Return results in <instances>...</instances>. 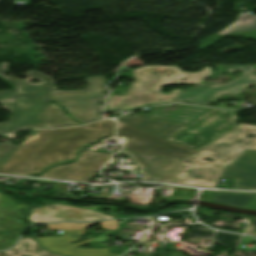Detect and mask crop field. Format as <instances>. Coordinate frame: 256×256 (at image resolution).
Returning a JSON list of instances; mask_svg holds the SVG:
<instances>
[{"mask_svg": "<svg viewBox=\"0 0 256 256\" xmlns=\"http://www.w3.org/2000/svg\"><path fill=\"white\" fill-rule=\"evenodd\" d=\"M172 67L173 73L143 74V68ZM210 67L198 73H186L177 66H143L133 69L134 81L125 97L110 95L105 109L132 110L151 104L171 103L181 90H172L164 94L160 88L169 84H198L211 76ZM184 77L185 81H181Z\"/></svg>", "mask_w": 256, "mask_h": 256, "instance_id": "obj_4", "label": "crop field"}, {"mask_svg": "<svg viewBox=\"0 0 256 256\" xmlns=\"http://www.w3.org/2000/svg\"><path fill=\"white\" fill-rule=\"evenodd\" d=\"M254 149H256V147H254Z\"/></svg>", "mask_w": 256, "mask_h": 256, "instance_id": "obj_35", "label": "crop field"}, {"mask_svg": "<svg viewBox=\"0 0 256 256\" xmlns=\"http://www.w3.org/2000/svg\"><path fill=\"white\" fill-rule=\"evenodd\" d=\"M110 156L105 153L82 151L78 161L51 168L40 177L88 182Z\"/></svg>", "mask_w": 256, "mask_h": 256, "instance_id": "obj_9", "label": "crop field"}, {"mask_svg": "<svg viewBox=\"0 0 256 256\" xmlns=\"http://www.w3.org/2000/svg\"><path fill=\"white\" fill-rule=\"evenodd\" d=\"M227 71L240 70L243 72L242 76L223 85H205L200 83L194 88L186 89L180 92L175 102H183L205 106L209 102H214L217 97L225 93L237 94L241 92L248 84L256 83V76L251 74L252 66L234 65Z\"/></svg>", "mask_w": 256, "mask_h": 256, "instance_id": "obj_8", "label": "crop field"}, {"mask_svg": "<svg viewBox=\"0 0 256 256\" xmlns=\"http://www.w3.org/2000/svg\"><path fill=\"white\" fill-rule=\"evenodd\" d=\"M64 236L61 237H41L36 238L37 242L48 251L54 253L64 254L66 256H118L109 254L107 249H91L83 250L75 248L76 245L87 243L93 238L76 243L70 244L68 241L78 240L84 231H63Z\"/></svg>", "mask_w": 256, "mask_h": 256, "instance_id": "obj_13", "label": "crop field"}, {"mask_svg": "<svg viewBox=\"0 0 256 256\" xmlns=\"http://www.w3.org/2000/svg\"><path fill=\"white\" fill-rule=\"evenodd\" d=\"M195 194L194 190L188 189H180V188H173L171 199L181 198V199H190Z\"/></svg>", "mask_w": 256, "mask_h": 256, "instance_id": "obj_25", "label": "crop field"}, {"mask_svg": "<svg viewBox=\"0 0 256 256\" xmlns=\"http://www.w3.org/2000/svg\"><path fill=\"white\" fill-rule=\"evenodd\" d=\"M83 127H84V126H83ZM84 128H85V127H84ZM96 131H97V130H96ZM100 133H102V132H100ZM102 134H103V137H104V136H105L104 133H102Z\"/></svg>", "mask_w": 256, "mask_h": 256, "instance_id": "obj_34", "label": "crop field"}, {"mask_svg": "<svg viewBox=\"0 0 256 256\" xmlns=\"http://www.w3.org/2000/svg\"><path fill=\"white\" fill-rule=\"evenodd\" d=\"M102 134L82 127L59 130H38L37 138L21 145L0 169V173L24 175L38 173L49 164L74 158L76 150L96 142Z\"/></svg>", "mask_w": 256, "mask_h": 256, "instance_id": "obj_1", "label": "crop field"}, {"mask_svg": "<svg viewBox=\"0 0 256 256\" xmlns=\"http://www.w3.org/2000/svg\"><path fill=\"white\" fill-rule=\"evenodd\" d=\"M4 39H11L9 35H0V42H3Z\"/></svg>", "mask_w": 256, "mask_h": 256, "instance_id": "obj_33", "label": "crop field"}, {"mask_svg": "<svg viewBox=\"0 0 256 256\" xmlns=\"http://www.w3.org/2000/svg\"><path fill=\"white\" fill-rule=\"evenodd\" d=\"M110 218L109 216L88 209L51 204L32 209L28 219L33 221L29 223L32 224L51 221H95Z\"/></svg>", "mask_w": 256, "mask_h": 256, "instance_id": "obj_11", "label": "crop field"}, {"mask_svg": "<svg viewBox=\"0 0 256 256\" xmlns=\"http://www.w3.org/2000/svg\"><path fill=\"white\" fill-rule=\"evenodd\" d=\"M172 72L171 68L144 69V73Z\"/></svg>", "mask_w": 256, "mask_h": 256, "instance_id": "obj_30", "label": "crop field"}, {"mask_svg": "<svg viewBox=\"0 0 256 256\" xmlns=\"http://www.w3.org/2000/svg\"><path fill=\"white\" fill-rule=\"evenodd\" d=\"M118 120L143 129L164 139L168 138L169 136L184 127V125L137 118L132 116H121L118 117Z\"/></svg>", "mask_w": 256, "mask_h": 256, "instance_id": "obj_16", "label": "crop field"}, {"mask_svg": "<svg viewBox=\"0 0 256 256\" xmlns=\"http://www.w3.org/2000/svg\"><path fill=\"white\" fill-rule=\"evenodd\" d=\"M104 76L87 77L85 81L88 85L85 90L77 91H53L52 100L63 105L73 118L81 123H89L99 118V113L103 106L94 105V101L105 99L107 95L101 94V84Z\"/></svg>", "mask_w": 256, "mask_h": 256, "instance_id": "obj_6", "label": "crop field"}, {"mask_svg": "<svg viewBox=\"0 0 256 256\" xmlns=\"http://www.w3.org/2000/svg\"><path fill=\"white\" fill-rule=\"evenodd\" d=\"M121 136L127 138L125 149L137 154L185 158L195 152L118 121L117 137Z\"/></svg>", "mask_w": 256, "mask_h": 256, "instance_id": "obj_7", "label": "crop field"}, {"mask_svg": "<svg viewBox=\"0 0 256 256\" xmlns=\"http://www.w3.org/2000/svg\"><path fill=\"white\" fill-rule=\"evenodd\" d=\"M112 233V231H107V233L103 236H98L96 237L94 240L90 241V242H99V241H109L112 239L106 238L107 235H110Z\"/></svg>", "mask_w": 256, "mask_h": 256, "instance_id": "obj_31", "label": "crop field"}, {"mask_svg": "<svg viewBox=\"0 0 256 256\" xmlns=\"http://www.w3.org/2000/svg\"><path fill=\"white\" fill-rule=\"evenodd\" d=\"M214 231L208 228H204L198 224L193 225L189 235L187 238L194 239V238H204V239H212Z\"/></svg>", "mask_w": 256, "mask_h": 256, "instance_id": "obj_22", "label": "crop field"}, {"mask_svg": "<svg viewBox=\"0 0 256 256\" xmlns=\"http://www.w3.org/2000/svg\"><path fill=\"white\" fill-rule=\"evenodd\" d=\"M248 133L256 136V126L240 124L237 130L182 159L175 183L213 187L220 168L233 161L244 147L256 143V137H245ZM205 157L215 161H205Z\"/></svg>", "mask_w": 256, "mask_h": 256, "instance_id": "obj_3", "label": "crop field"}, {"mask_svg": "<svg viewBox=\"0 0 256 256\" xmlns=\"http://www.w3.org/2000/svg\"><path fill=\"white\" fill-rule=\"evenodd\" d=\"M215 192H210V191H202L200 198L206 201H211L213 195Z\"/></svg>", "mask_w": 256, "mask_h": 256, "instance_id": "obj_29", "label": "crop field"}, {"mask_svg": "<svg viewBox=\"0 0 256 256\" xmlns=\"http://www.w3.org/2000/svg\"><path fill=\"white\" fill-rule=\"evenodd\" d=\"M89 129H97L106 134V136H114L115 132V122L106 120V121H101L97 122L91 125L86 126Z\"/></svg>", "mask_w": 256, "mask_h": 256, "instance_id": "obj_23", "label": "crop field"}, {"mask_svg": "<svg viewBox=\"0 0 256 256\" xmlns=\"http://www.w3.org/2000/svg\"><path fill=\"white\" fill-rule=\"evenodd\" d=\"M241 236L228 234L217 231L214 238V243L221 244L223 246L235 248Z\"/></svg>", "mask_w": 256, "mask_h": 256, "instance_id": "obj_20", "label": "crop field"}, {"mask_svg": "<svg viewBox=\"0 0 256 256\" xmlns=\"http://www.w3.org/2000/svg\"><path fill=\"white\" fill-rule=\"evenodd\" d=\"M114 186L115 185L104 186L100 196H91V197L105 199Z\"/></svg>", "mask_w": 256, "mask_h": 256, "instance_id": "obj_27", "label": "crop field"}, {"mask_svg": "<svg viewBox=\"0 0 256 256\" xmlns=\"http://www.w3.org/2000/svg\"><path fill=\"white\" fill-rule=\"evenodd\" d=\"M69 125H79V124L75 123L71 118L65 115L60 107L51 103L45 128H53V127L69 126Z\"/></svg>", "mask_w": 256, "mask_h": 256, "instance_id": "obj_19", "label": "crop field"}, {"mask_svg": "<svg viewBox=\"0 0 256 256\" xmlns=\"http://www.w3.org/2000/svg\"><path fill=\"white\" fill-rule=\"evenodd\" d=\"M102 229L117 230L119 228L117 221H103L100 222Z\"/></svg>", "mask_w": 256, "mask_h": 256, "instance_id": "obj_26", "label": "crop field"}, {"mask_svg": "<svg viewBox=\"0 0 256 256\" xmlns=\"http://www.w3.org/2000/svg\"><path fill=\"white\" fill-rule=\"evenodd\" d=\"M61 256L49 253L41 248L33 238H21L18 244L7 252H0V256Z\"/></svg>", "mask_w": 256, "mask_h": 256, "instance_id": "obj_17", "label": "crop field"}, {"mask_svg": "<svg viewBox=\"0 0 256 256\" xmlns=\"http://www.w3.org/2000/svg\"><path fill=\"white\" fill-rule=\"evenodd\" d=\"M237 128L234 112L212 109L167 140L197 151Z\"/></svg>", "mask_w": 256, "mask_h": 256, "instance_id": "obj_5", "label": "crop field"}, {"mask_svg": "<svg viewBox=\"0 0 256 256\" xmlns=\"http://www.w3.org/2000/svg\"><path fill=\"white\" fill-rule=\"evenodd\" d=\"M94 223H53L48 224L49 230H85L89 225H95Z\"/></svg>", "mask_w": 256, "mask_h": 256, "instance_id": "obj_21", "label": "crop field"}, {"mask_svg": "<svg viewBox=\"0 0 256 256\" xmlns=\"http://www.w3.org/2000/svg\"><path fill=\"white\" fill-rule=\"evenodd\" d=\"M16 146L8 143H2L0 145V168L4 165L7 159L13 154L16 150Z\"/></svg>", "mask_w": 256, "mask_h": 256, "instance_id": "obj_24", "label": "crop field"}, {"mask_svg": "<svg viewBox=\"0 0 256 256\" xmlns=\"http://www.w3.org/2000/svg\"><path fill=\"white\" fill-rule=\"evenodd\" d=\"M130 157L140 168V179H150L164 182H175L181 159L137 155L128 150L122 152Z\"/></svg>", "mask_w": 256, "mask_h": 256, "instance_id": "obj_10", "label": "crop field"}, {"mask_svg": "<svg viewBox=\"0 0 256 256\" xmlns=\"http://www.w3.org/2000/svg\"><path fill=\"white\" fill-rule=\"evenodd\" d=\"M220 178L236 179L232 189H256V150L246 149L223 169Z\"/></svg>", "mask_w": 256, "mask_h": 256, "instance_id": "obj_12", "label": "crop field"}, {"mask_svg": "<svg viewBox=\"0 0 256 256\" xmlns=\"http://www.w3.org/2000/svg\"><path fill=\"white\" fill-rule=\"evenodd\" d=\"M247 234L255 235L256 236V216H254L247 232Z\"/></svg>", "mask_w": 256, "mask_h": 256, "instance_id": "obj_28", "label": "crop field"}, {"mask_svg": "<svg viewBox=\"0 0 256 256\" xmlns=\"http://www.w3.org/2000/svg\"><path fill=\"white\" fill-rule=\"evenodd\" d=\"M247 208L256 209V196L253 198V200L250 202Z\"/></svg>", "mask_w": 256, "mask_h": 256, "instance_id": "obj_32", "label": "crop field"}, {"mask_svg": "<svg viewBox=\"0 0 256 256\" xmlns=\"http://www.w3.org/2000/svg\"><path fill=\"white\" fill-rule=\"evenodd\" d=\"M9 64L0 63V76L12 84L15 89L0 92V108L11 111L8 122L0 124V134L14 132L23 128H44L53 88L51 78L35 71H28V79L20 80L4 76ZM32 79L41 83H30Z\"/></svg>", "mask_w": 256, "mask_h": 256, "instance_id": "obj_2", "label": "crop field"}, {"mask_svg": "<svg viewBox=\"0 0 256 256\" xmlns=\"http://www.w3.org/2000/svg\"><path fill=\"white\" fill-rule=\"evenodd\" d=\"M254 196L249 193L216 192L212 202L246 208Z\"/></svg>", "mask_w": 256, "mask_h": 256, "instance_id": "obj_18", "label": "crop field"}, {"mask_svg": "<svg viewBox=\"0 0 256 256\" xmlns=\"http://www.w3.org/2000/svg\"><path fill=\"white\" fill-rule=\"evenodd\" d=\"M225 36H238L256 40V15L241 12L231 26L200 43L199 49L202 50Z\"/></svg>", "mask_w": 256, "mask_h": 256, "instance_id": "obj_14", "label": "crop field"}, {"mask_svg": "<svg viewBox=\"0 0 256 256\" xmlns=\"http://www.w3.org/2000/svg\"><path fill=\"white\" fill-rule=\"evenodd\" d=\"M169 106L171 105L156 106L148 116L140 114H135L134 116L187 125L210 110V108H197L181 104L179 110L162 112V110Z\"/></svg>", "mask_w": 256, "mask_h": 256, "instance_id": "obj_15", "label": "crop field"}]
</instances>
